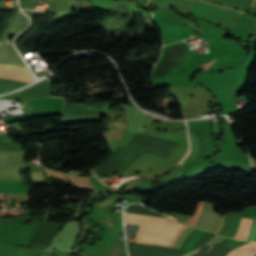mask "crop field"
<instances>
[{
	"label": "crop field",
	"instance_id": "1",
	"mask_svg": "<svg viewBox=\"0 0 256 256\" xmlns=\"http://www.w3.org/2000/svg\"><path fill=\"white\" fill-rule=\"evenodd\" d=\"M126 224L140 225L135 242L168 247L184 225L175 220L124 213Z\"/></svg>",
	"mask_w": 256,
	"mask_h": 256
},
{
	"label": "crop field",
	"instance_id": "4",
	"mask_svg": "<svg viewBox=\"0 0 256 256\" xmlns=\"http://www.w3.org/2000/svg\"><path fill=\"white\" fill-rule=\"evenodd\" d=\"M200 250V248L199 249H197V251L194 253V256H196V254L198 253V251Z\"/></svg>",
	"mask_w": 256,
	"mask_h": 256
},
{
	"label": "crop field",
	"instance_id": "2",
	"mask_svg": "<svg viewBox=\"0 0 256 256\" xmlns=\"http://www.w3.org/2000/svg\"><path fill=\"white\" fill-rule=\"evenodd\" d=\"M255 242H251L247 245L239 247L232 252H230L227 256H242L244 255L253 245ZM256 255V244L244 255V256H255Z\"/></svg>",
	"mask_w": 256,
	"mask_h": 256
},
{
	"label": "crop field",
	"instance_id": "5",
	"mask_svg": "<svg viewBox=\"0 0 256 256\" xmlns=\"http://www.w3.org/2000/svg\"><path fill=\"white\" fill-rule=\"evenodd\" d=\"M213 246V245H212ZM211 249V248H210Z\"/></svg>",
	"mask_w": 256,
	"mask_h": 256
},
{
	"label": "crop field",
	"instance_id": "3",
	"mask_svg": "<svg viewBox=\"0 0 256 256\" xmlns=\"http://www.w3.org/2000/svg\"><path fill=\"white\" fill-rule=\"evenodd\" d=\"M195 251H196V250H194V251H192V252H189V253H187V254H185V255H183V256H192Z\"/></svg>",
	"mask_w": 256,
	"mask_h": 256
}]
</instances>
